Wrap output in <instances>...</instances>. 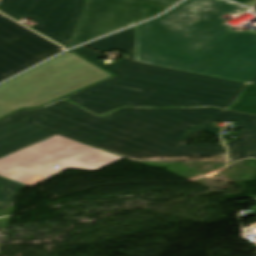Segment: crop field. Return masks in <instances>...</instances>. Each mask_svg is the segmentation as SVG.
<instances>
[{"mask_svg":"<svg viewBox=\"0 0 256 256\" xmlns=\"http://www.w3.org/2000/svg\"><path fill=\"white\" fill-rule=\"evenodd\" d=\"M180 0H88L70 47L151 18ZM252 7L256 0H232Z\"/></svg>","mask_w":256,"mask_h":256,"instance_id":"f4fd0767","label":"crop field"},{"mask_svg":"<svg viewBox=\"0 0 256 256\" xmlns=\"http://www.w3.org/2000/svg\"><path fill=\"white\" fill-rule=\"evenodd\" d=\"M61 51L60 46L0 14V82Z\"/></svg>","mask_w":256,"mask_h":256,"instance_id":"e52e79f7","label":"crop field"},{"mask_svg":"<svg viewBox=\"0 0 256 256\" xmlns=\"http://www.w3.org/2000/svg\"><path fill=\"white\" fill-rule=\"evenodd\" d=\"M121 159L56 135L0 158V176L33 187L66 169L97 171Z\"/></svg>","mask_w":256,"mask_h":256,"instance_id":"412701ff","label":"crop field"},{"mask_svg":"<svg viewBox=\"0 0 256 256\" xmlns=\"http://www.w3.org/2000/svg\"><path fill=\"white\" fill-rule=\"evenodd\" d=\"M100 52L127 55L106 70L116 78L42 109L23 110L0 120V157L56 134L124 158L226 154L222 144L184 145L204 130L219 137L214 121H236L243 130L226 142L229 159L256 158V116L226 111L247 84L135 62V27L86 44ZM127 107H203L189 109ZM46 140V139H45ZM25 185L0 177V210L10 207Z\"/></svg>","mask_w":256,"mask_h":256,"instance_id":"8a807250","label":"crop field"},{"mask_svg":"<svg viewBox=\"0 0 256 256\" xmlns=\"http://www.w3.org/2000/svg\"><path fill=\"white\" fill-rule=\"evenodd\" d=\"M247 10L187 0L136 27V61L247 83L256 76V33L233 32L221 18Z\"/></svg>","mask_w":256,"mask_h":256,"instance_id":"ac0d7876","label":"crop field"},{"mask_svg":"<svg viewBox=\"0 0 256 256\" xmlns=\"http://www.w3.org/2000/svg\"><path fill=\"white\" fill-rule=\"evenodd\" d=\"M85 0H1L0 11L17 21L28 18L31 27L68 47L83 12Z\"/></svg>","mask_w":256,"mask_h":256,"instance_id":"dd49c442","label":"crop field"},{"mask_svg":"<svg viewBox=\"0 0 256 256\" xmlns=\"http://www.w3.org/2000/svg\"><path fill=\"white\" fill-rule=\"evenodd\" d=\"M250 199L256 203V196H251Z\"/></svg>","mask_w":256,"mask_h":256,"instance_id":"28ad6ade","label":"crop field"},{"mask_svg":"<svg viewBox=\"0 0 256 256\" xmlns=\"http://www.w3.org/2000/svg\"><path fill=\"white\" fill-rule=\"evenodd\" d=\"M110 76L67 52L0 85V117L22 107H39Z\"/></svg>","mask_w":256,"mask_h":256,"instance_id":"34b2d1b8","label":"crop field"},{"mask_svg":"<svg viewBox=\"0 0 256 256\" xmlns=\"http://www.w3.org/2000/svg\"><path fill=\"white\" fill-rule=\"evenodd\" d=\"M72 51L81 55V56H83V57H85V58H87V59H89V60H91V61H93V62L103 57V56H101V55H99L95 52H92V51L84 48V47H81V48H78V49H75V50H72Z\"/></svg>","mask_w":256,"mask_h":256,"instance_id":"3316defc","label":"crop field"},{"mask_svg":"<svg viewBox=\"0 0 256 256\" xmlns=\"http://www.w3.org/2000/svg\"><path fill=\"white\" fill-rule=\"evenodd\" d=\"M226 155H214V156H189V157H165V158H140L130 159L140 162H180V161H192V162H226Z\"/></svg>","mask_w":256,"mask_h":256,"instance_id":"d8731c3e","label":"crop field"},{"mask_svg":"<svg viewBox=\"0 0 256 256\" xmlns=\"http://www.w3.org/2000/svg\"><path fill=\"white\" fill-rule=\"evenodd\" d=\"M231 109L256 114V86L250 85Z\"/></svg>","mask_w":256,"mask_h":256,"instance_id":"5a996713","label":"crop field"}]
</instances>
